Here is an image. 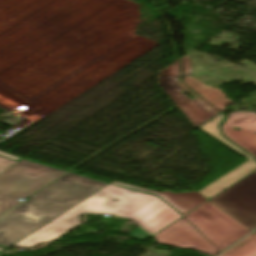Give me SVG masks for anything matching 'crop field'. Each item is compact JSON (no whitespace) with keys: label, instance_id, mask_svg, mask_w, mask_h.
Instances as JSON below:
<instances>
[{"label":"crop field","instance_id":"obj_7","mask_svg":"<svg viewBox=\"0 0 256 256\" xmlns=\"http://www.w3.org/2000/svg\"><path fill=\"white\" fill-rule=\"evenodd\" d=\"M223 118L224 115L223 113H221L199 128L227 144L233 150L246 157L248 161L243 163L239 167L235 168L234 170L230 171L217 181L200 190L199 193L202 194L207 199L212 197L216 193L220 192L221 190H223L224 188H226L227 186H229L230 184L237 181L238 179H240L241 177H243L244 175H246L247 173L256 168V161L251 155H249L242 149L238 148L221 135L218 125L222 122Z\"/></svg>","mask_w":256,"mask_h":256},{"label":"crop field","instance_id":"obj_16","mask_svg":"<svg viewBox=\"0 0 256 256\" xmlns=\"http://www.w3.org/2000/svg\"><path fill=\"white\" fill-rule=\"evenodd\" d=\"M254 233H256V232H254Z\"/></svg>","mask_w":256,"mask_h":256},{"label":"crop field","instance_id":"obj_5","mask_svg":"<svg viewBox=\"0 0 256 256\" xmlns=\"http://www.w3.org/2000/svg\"><path fill=\"white\" fill-rule=\"evenodd\" d=\"M208 202L252 231L256 228V171Z\"/></svg>","mask_w":256,"mask_h":256},{"label":"crop field","instance_id":"obj_15","mask_svg":"<svg viewBox=\"0 0 256 256\" xmlns=\"http://www.w3.org/2000/svg\"><path fill=\"white\" fill-rule=\"evenodd\" d=\"M0 154H1V155H3V156H5V157L13 158V159H16V160L21 159V158H18V157H15V156H12V155H9V154H6V153H3V152H1V151H0Z\"/></svg>","mask_w":256,"mask_h":256},{"label":"crop field","instance_id":"obj_9","mask_svg":"<svg viewBox=\"0 0 256 256\" xmlns=\"http://www.w3.org/2000/svg\"><path fill=\"white\" fill-rule=\"evenodd\" d=\"M233 126L232 128H230ZM227 138L252 153L256 158V114L230 113L224 125L221 126ZM238 127L241 131L233 128ZM252 130V132L250 131Z\"/></svg>","mask_w":256,"mask_h":256},{"label":"crop field","instance_id":"obj_10","mask_svg":"<svg viewBox=\"0 0 256 256\" xmlns=\"http://www.w3.org/2000/svg\"><path fill=\"white\" fill-rule=\"evenodd\" d=\"M113 184H117V185H121V186L129 187L132 189L158 195L162 199H164L166 202H168L171 206H173L175 209H177L182 215L190 211L200 203L207 200L198 192L184 193V194H173L170 192L159 193V192L149 191V190H145V189H141V188H137V187H133V186L117 183V182H114Z\"/></svg>","mask_w":256,"mask_h":256},{"label":"crop field","instance_id":"obj_11","mask_svg":"<svg viewBox=\"0 0 256 256\" xmlns=\"http://www.w3.org/2000/svg\"><path fill=\"white\" fill-rule=\"evenodd\" d=\"M221 256H256V234H251Z\"/></svg>","mask_w":256,"mask_h":256},{"label":"crop field","instance_id":"obj_2","mask_svg":"<svg viewBox=\"0 0 256 256\" xmlns=\"http://www.w3.org/2000/svg\"><path fill=\"white\" fill-rule=\"evenodd\" d=\"M107 184L71 173L57 179L0 220V245L10 247Z\"/></svg>","mask_w":256,"mask_h":256},{"label":"crop field","instance_id":"obj_1","mask_svg":"<svg viewBox=\"0 0 256 256\" xmlns=\"http://www.w3.org/2000/svg\"><path fill=\"white\" fill-rule=\"evenodd\" d=\"M83 213H110L129 217L152 234L182 217L156 196L109 184L14 245L27 248L52 241L80 223L78 217Z\"/></svg>","mask_w":256,"mask_h":256},{"label":"crop field","instance_id":"obj_6","mask_svg":"<svg viewBox=\"0 0 256 256\" xmlns=\"http://www.w3.org/2000/svg\"><path fill=\"white\" fill-rule=\"evenodd\" d=\"M180 74V62L176 61L169 68L160 72L158 83L196 128L218 113L201 101L192 100L182 93L181 88L177 85Z\"/></svg>","mask_w":256,"mask_h":256},{"label":"crop field","instance_id":"obj_4","mask_svg":"<svg viewBox=\"0 0 256 256\" xmlns=\"http://www.w3.org/2000/svg\"><path fill=\"white\" fill-rule=\"evenodd\" d=\"M184 218L220 251L251 232L208 202Z\"/></svg>","mask_w":256,"mask_h":256},{"label":"crop field","instance_id":"obj_14","mask_svg":"<svg viewBox=\"0 0 256 256\" xmlns=\"http://www.w3.org/2000/svg\"><path fill=\"white\" fill-rule=\"evenodd\" d=\"M17 161H13L4 157H0V172L11 166Z\"/></svg>","mask_w":256,"mask_h":256},{"label":"crop field","instance_id":"obj_8","mask_svg":"<svg viewBox=\"0 0 256 256\" xmlns=\"http://www.w3.org/2000/svg\"><path fill=\"white\" fill-rule=\"evenodd\" d=\"M154 237L157 243L162 245L192 248L211 256L220 253L219 250L199 234L184 218Z\"/></svg>","mask_w":256,"mask_h":256},{"label":"crop field","instance_id":"obj_13","mask_svg":"<svg viewBox=\"0 0 256 256\" xmlns=\"http://www.w3.org/2000/svg\"><path fill=\"white\" fill-rule=\"evenodd\" d=\"M129 235H131L137 239H142V240H145L146 238L151 236V235H148L145 232H143L139 227L137 229H135L133 232H131Z\"/></svg>","mask_w":256,"mask_h":256},{"label":"crop field","instance_id":"obj_3","mask_svg":"<svg viewBox=\"0 0 256 256\" xmlns=\"http://www.w3.org/2000/svg\"><path fill=\"white\" fill-rule=\"evenodd\" d=\"M66 172L23 159L0 173V217Z\"/></svg>","mask_w":256,"mask_h":256},{"label":"crop field","instance_id":"obj_12","mask_svg":"<svg viewBox=\"0 0 256 256\" xmlns=\"http://www.w3.org/2000/svg\"><path fill=\"white\" fill-rule=\"evenodd\" d=\"M179 61H181L183 64V75L182 76L191 75L192 67H191L190 56L187 55V56L183 57L182 59H180Z\"/></svg>","mask_w":256,"mask_h":256}]
</instances>
